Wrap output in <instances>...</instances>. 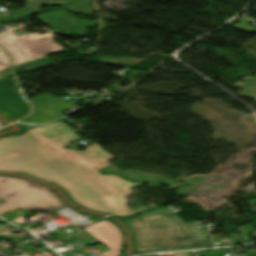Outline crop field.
Masks as SVG:
<instances>
[{"label": "crop field", "mask_w": 256, "mask_h": 256, "mask_svg": "<svg viewBox=\"0 0 256 256\" xmlns=\"http://www.w3.org/2000/svg\"><path fill=\"white\" fill-rule=\"evenodd\" d=\"M77 139L79 135L61 121L29 129L20 137L0 138V171L26 173L57 184L77 203L116 216L149 208L131 210L124 205L128 202L124 198L131 195L129 188L142 183L97 171L108 167L107 160L114 158L99 144L89 145L86 151L62 148Z\"/></svg>", "instance_id": "obj_1"}, {"label": "crop field", "mask_w": 256, "mask_h": 256, "mask_svg": "<svg viewBox=\"0 0 256 256\" xmlns=\"http://www.w3.org/2000/svg\"><path fill=\"white\" fill-rule=\"evenodd\" d=\"M125 224L132 234L134 252L213 247L209 241H196L182 220L171 213H148Z\"/></svg>", "instance_id": "obj_2"}, {"label": "crop field", "mask_w": 256, "mask_h": 256, "mask_svg": "<svg viewBox=\"0 0 256 256\" xmlns=\"http://www.w3.org/2000/svg\"><path fill=\"white\" fill-rule=\"evenodd\" d=\"M0 215L15 208L26 211L53 210L64 203L49 190L15 177L0 176Z\"/></svg>", "instance_id": "obj_3"}, {"label": "crop field", "mask_w": 256, "mask_h": 256, "mask_svg": "<svg viewBox=\"0 0 256 256\" xmlns=\"http://www.w3.org/2000/svg\"><path fill=\"white\" fill-rule=\"evenodd\" d=\"M24 35L18 36L12 31L0 35V46L13 58V67L48 54L66 52L54 42L50 32L30 38Z\"/></svg>", "instance_id": "obj_4"}, {"label": "crop field", "mask_w": 256, "mask_h": 256, "mask_svg": "<svg viewBox=\"0 0 256 256\" xmlns=\"http://www.w3.org/2000/svg\"><path fill=\"white\" fill-rule=\"evenodd\" d=\"M22 94L13 77L0 80V114L11 122L30 111L28 101Z\"/></svg>", "instance_id": "obj_5"}, {"label": "crop field", "mask_w": 256, "mask_h": 256, "mask_svg": "<svg viewBox=\"0 0 256 256\" xmlns=\"http://www.w3.org/2000/svg\"><path fill=\"white\" fill-rule=\"evenodd\" d=\"M110 250L102 252L104 256H118L123 237L120 229L111 222L103 220L84 228Z\"/></svg>", "instance_id": "obj_6"}, {"label": "crop field", "mask_w": 256, "mask_h": 256, "mask_svg": "<svg viewBox=\"0 0 256 256\" xmlns=\"http://www.w3.org/2000/svg\"><path fill=\"white\" fill-rule=\"evenodd\" d=\"M38 19L55 28V32L62 35L74 33L76 36L81 34L87 28L94 27L95 23L84 21L82 23L76 21L72 17H68L63 13L55 12L39 16Z\"/></svg>", "instance_id": "obj_7"}, {"label": "crop field", "mask_w": 256, "mask_h": 256, "mask_svg": "<svg viewBox=\"0 0 256 256\" xmlns=\"http://www.w3.org/2000/svg\"><path fill=\"white\" fill-rule=\"evenodd\" d=\"M241 81H245V83H241ZM234 86L244 89L241 93H239V95L256 100V76H245L234 84Z\"/></svg>", "instance_id": "obj_8"}, {"label": "crop field", "mask_w": 256, "mask_h": 256, "mask_svg": "<svg viewBox=\"0 0 256 256\" xmlns=\"http://www.w3.org/2000/svg\"><path fill=\"white\" fill-rule=\"evenodd\" d=\"M86 2H91V0H72L65 9L73 10L85 15H92V13L89 12V6L86 5Z\"/></svg>", "instance_id": "obj_9"}, {"label": "crop field", "mask_w": 256, "mask_h": 256, "mask_svg": "<svg viewBox=\"0 0 256 256\" xmlns=\"http://www.w3.org/2000/svg\"><path fill=\"white\" fill-rule=\"evenodd\" d=\"M33 3L45 4V5H63L70 0H24Z\"/></svg>", "instance_id": "obj_10"}, {"label": "crop field", "mask_w": 256, "mask_h": 256, "mask_svg": "<svg viewBox=\"0 0 256 256\" xmlns=\"http://www.w3.org/2000/svg\"><path fill=\"white\" fill-rule=\"evenodd\" d=\"M10 66L9 58L0 50V70L7 69Z\"/></svg>", "instance_id": "obj_11"}, {"label": "crop field", "mask_w": 256, "mask_h": 256, "mask_svg": "<svg viewBox=\"0 0 256 256\" xmlns=\"http://www.w3.org/2000/svg\"><path fill=\"white\" fill-rule=\"evenodd\" d=\"M2 202H4V201L0 200V203H2Z\"/></svg>", "instance_id": "obj_12"}, {"label": "crop field", "mask_w": 256, "mask_h": 256, "mask_svg": "<svg viewBox=\"0 0 256 256\" xmlns=\"http://www.w3.org/2000/svg\"><path fill=\"white\" fill-rule=\"evenodd\" d=\"M24 256H29L28 254L24 255Z\"/></svg>", "instance_id": "obj_13"}]
</instances>
